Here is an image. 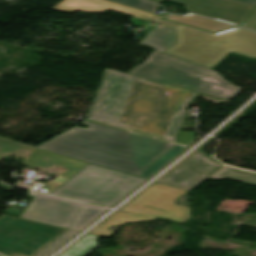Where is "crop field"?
<instances>
[{
  "mask_svg": "<svg viewBox=\"0 0 256 256\" xmlns=\"http://www.w3.org/2000/svg\"><path fill=\"white\" fill-rule=\"evenodd\" d=\"M184 149V146L176 145L164 156H162L158 161H156L152 166L145 170L141 175H139V177L149 179L165 165H167L170 161H172L175 157H177L180 153H182Z\"/></svg>",
  "mask_w": 256,
  "mask_h": 256,
  "instance_id": "obj_19",
  "label": "crop field"
},
{
  "mask_svg": "<svg viewBox=\"0 0 256 256\" xmlns=\"http://www.w3.org/2000/svg\"><path fill=\"white\" fill-rule=\"evenodd\" d=\"M193 139H195L194 133L180 131L179 137L176 142L181 144H188Z\"/></svg>",
  "mask_w": 256,
  "mask_h": 256,
  "instance_id": "obj_22",
  "label": "crop field"
},
{
  "mask_svg": "<svg viewBox=\"0 0 256 256\" xmlns=\"http://www.w3.org/2000/svg\"><path fill=\"white\" fill-rule=\"evenodd\" d=\"M187 192L155 182L121 210L183 223L190 218L189 208L174 201Z\"/></svg>",
  "mask_w": 256,
  "mask_h": 256,
  "instance_id": "obj_7",
  "label": "crop field"
},
{
  "mask_svg": "<svg viewBox=\"0 0 256 256\" xmlns=\"http://www.w3.org/2000/svg\"><path fill=\"white\" fill-rule=\"evenodd\" d=\"M219 165L197 151L157 182L190 191L207 179L205 176Z\"/></svg>",
  "mask_w": 256,
  "mask_h": 256,
  "instance_id": "obj_10",
  "label": "crop field"
},
{
  "mask_svg": "<svg viewBox=\"0 0 256 256\" xmlns=\"http://www.w3.org/2000/svg\"><path fill=\"white\" fill-rule=\"evenodd\" d=\"M5 154L28 158L24 162L27 167L50 171L69 177L87 165V163L0 138V157ZM44 157L48 159H44ZM55 188L57 187L40 183L34 190L50 193Z\"/></svg>",
  "mask_w": 256,
  "mask_h": 256,
  "instance_id": "obj_8",
  "label": "crop field"
},
{
  "mask_svg": "<svg viewBox=\"0 0 256 256\" xmlns=\"http://www.w3.org/2000/svg\"><path fill=\"white\" fill-rule=\"evenodd\" d=\"M209 178L214 179H222L224 177H230L232 179L249 183V184H255L256 185V174L250 173L238 169H234L232 167L223 165L218 170H216L214 173H212Z\"/></svg>",
  "mask_w": 256,
  "mask_h": 256,
  "instance_id": "obj_17",
  "label": "crop field"
},
{
  "mask_svg": "<svg viewBox=\"0 0 256 256\" xmlns=\"http://www.w3.org/2000/svg\"><path fill=\"white\" fill-rule=\"evenodd\" d=\"M112 1L122 3L125 5H129L132 7H136L139 9L147 10V11L154 12V13L156 12V9L158 6L157 4L149 3L146 1H142V0H112Z\"/></svg>",
  "mask_w": 256,
  "mask_h": 256,
  "instance_id": "obj_21",
  "label": "crop field"
},
{
  "mask_svg": "<svg viewBox=\"0 0 256 256\" xmlns=\"http://www.w3.org/2000/svg\"><path fill=\"white\" fill-rule=\"evenodd\" d=\"M147 179L87 165L52 194L113 207Z\"/></svg>",
  "mask_w": 256,
  "mask_h": 256,
  "instance_id": "obj_5",
  "label": "crop field"
},
{
  "mask_svg": "<svg viewBox=\"0 0 256 256\" xmlns=\"http://www.w3.org/2000/svg\"><path fill=\"white\" fill-rule=\"evenodd\" d=\"M128 74L226 99L241 91L216 71L156 50Z\"/></svg>",
  "mask_w": 256,
  "mask_h": 256,
  "instance_id": "obj_4",
  "label": "crop field"
},
{
  "mask_svg": "<svg viewBox=\"0 0 256 256\" xmlns=\"http://www.w3.org/2000/svg\"><path fill=\"white\" fill-rule=\"evenodd\" d=\"M97 238V236L87 234L60 256H85L98 246Z\"/></svg>",
  "mask_w": 256,
  "mask_h": 256,
  "instance_id": "obj_18",
  "label": "crop field"
},
{
  "mask_svg": "<svg viewBox=\"0 0 256 256\" xmlns=\"http://www.w3.org/2000/svg\"><path fill=\"white\" fill-rule=\"evenodd\" d=\"M161 2L164 0H152ZM181 3L188 11L240 26L254 6L231 0H167ZM155 2V3H156Z\"/></svg>",
  "mask_w": 256,
  "mask_h": 256,
  "instance_id": "obj_11",
  "label": "crop field"
},
{
  "mask_svg": "<svg viewBox=\"0 0 256 256\" xmlns=\"http://www.w3.org/2000/svg\"><path fill=\"white\" fill-rule=\"evenodd\" d=\"M74 127L37 146L83 162L138 176L175 144L91 124Z\"/></svg>",
  "mask_w": 256,
  "mask_h": 256,
  "instance_id": "obj_2",
  "label": "crop field"
},
{
  "mask_svg": "<svg viewBox=\"0 0 256 256\" xmlns=\"http://www.w3.org/2000/svg\"><path fill=\"white\" fill-rule=\"evenodd\" d=\"M234 1H238V2H242V3H246V4L256 6V0H234Z\"/></svg>",
  "mask_w": 256,
  "mask_h": 256,
  "instance_id": "obj_24",
  "label": "crop field"
},
{
  "mask_svg": "<svg viewBox=\"0 0 256 256\" xmlns=\"http://www.w3.org/2000/svg\"><path fill=\"white\" fill-rule=\"evenodd\" d=\"M174 43H176L174 29L159 25L144 37L140 45L163 52Z\"/></svg>",
  "mask_w": 256,
  "mask_h": 256,
  "instance_id": "obj_13",
  "label": "crop field"
},
{
  "mask_svg": "<svg viewBox=\"0 0 256 256\" xmlns=\"http://www.w3.org/2000/svg\"><path fill=\"white\" fill-rule=\"evenodd\" d=\"M154 23L175 28L177 43L164 53L210 69L231 52L256 58V33L254 32L237 28L213 34L161 18Z\"/></svg>",
  "mask_w": 256,
  "mask_h": 256,
  "instance_id": "obj_3",
  "label": "crop field"
},
{
  "mask_svg": "<svg viewBox=\"0 0 256 256\" xmlns=\"http://www.w3.org/2000/svg\"><path fill=\"white\" fill-rule=\"evenodd\" d=\"M168 20L194 26L210 32H221L229 29L236 28L235 26L220 23L214 20H210L204 17L196 16L193 14H187L185 16H170L166 18Z\"/></svg>",
  "mask_w": 256,
  "mask_h": 256,
  "instance_id": "obj_15",
  "label": "crop field"
},
{
  "mask_svg": "<svg viewBox=\"0 0 256 256\" xmlns=\"http://www.w3.org/2000/svg\"><path fill=\"white\" fill-rule=\"evenodd\" d=\"M78 231H72L69 230L65 234H63L61 237H59L57 240H55L50 246L43 249L41 252H39L36 256H48L53 251L58 249L60 246H62L65 242H67L69 239H71L74 235H76Z\"/></svg>",
  "mask_w": 256,
  "mask_h": 256,
  "instance_id": "obj_20",
  "label": "crop field"
},
{
  "mask_svg": "<svg viewBox=\"0 0 256 256\" xmlns=\"http://www.w3.org/2000/svg\"><path fill=\"white\" fill-rule=\"evenodd\" d=\"M65 229L6 215L0 216V253L33 256Z\"/></svg>",
  "mask_w": 256,
  "mask_h": 256,
  "instance_id": "obj_6",
  "label": "crop field"
},
{
  "mask_svg": "<svg viewBox=\"0 0 256 256\" xmlns=\"http://www.w3.org/2000/svg\"><path fill=\"white\" fill-rule=\"evenodd\" d=\"M1 256V255H0Z\"/></svg>",
  "mask_w": 256,
  "mask_h": 256,
  "instance_id": "obj_25",
  "label": "crop field"
},
{
  "mask_svg": "<svg viewBox=\"0 0 256 256\" xmlns=\"http://www.w3.org/2000/svg\"><path fill=\"white\" fill-rule=\"evenodd\" d=\"M53 9L67 12L81 11V12H96L102 13L107 9L116 10L146 20H154L158 17L155 14L147 13L144 11L136 10L133 8L125 7L115 3L104 0H63Z\"/></svg>",
  "mask_w": 256,
  "mask_h": 256,
  "instance_id": "obj_12",
  "label": "crop field"
},
{
  "mask_svg": "<svg viewBox=\"0 0 256 256\" xmlns=\"http://www.w3.org/2000/svg\"><path fill=\"white\" fill-rule=\"evenodd\" d=\"M242 27L250 28L256 30V8L243 23Z\"/></svg>",
  "mask_w": 256,
  "mask_h": 256,
  "instance_id": "obj_23",
  "label": "crop field"
},
{
  "mask_svg": "<svg viewBox=\"0 0 256 256\" xmlns=\"http://www.w3.org/2000/svg\"><path fill=\"white\" fill-rule=\"evenodd\" d=\"M151 220H157V219L141 216V215L125 213V212H116L112 216H110L107 220H105L101 225H99L97 228L91 231L89 234L110 238L115 233V231L108 230V228L113 224L120 226L125 223L151 221Z\"/></svg>",
  "mask_w": 256,
  "mask_h": 256,
  "instance_id": "obj_14",
  "label": "crop field"
},
{
  "mask_svg": "<svg viewBox=\"0 0 256 256\" xmlns=\"http://www.w3.org/2000/svg\"><path fill=\"white\" fill-rule=\"evenodd\" d=\"M82 204L38 193L20 216L68 229Z\"/></svg>",
  "mask_w": 256,
  "mask_h": 256,
  "instance_id": "obj_9",
  "label": "crop field"
},
{
  "mask_svg": "<svg viewBox=\"0 0 256 256\" xmlns=\"http://www.w3.org/2000/svg\"><path fill=\"white\" fill-rule=\"evenodd\" d=\"M197 94L106 69L87 120L175 142Z\"/></svg>",
  "mask_w": 256,
  "mask_h": 256,
  "instance_id": "obj_1",
  "label": "crop field"
},
{
  "mask_svg": "<svg viewBox=\"0 0 256 256\" xmlns=\"http://www.w3.org/2000/svg\"><path fill=\"white\" fill-rule=\"evenodd\" d=\"M108 209L84 204L70 229L81 231Z\"/></svg>",
  "mask_w": 256,
  "mask_h": 256,
  "instance_id": "obj_16",
  "label": "crop field"
}]
</instances>
